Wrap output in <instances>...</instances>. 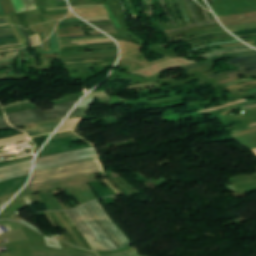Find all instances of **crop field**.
I'll use <instances>...</instances> for the list:
<instances>
[{"label":"crop field","mask_w":256,"mask_h":256,"mask_svg":"<svg viewBox=\"0 0 256 256\" xmlns=\"http://www.w3.org/2000/svg\"><path fill=\"white\" fill-rule=\"evenodd\" d=\"M70 220L79 228L92 250H109L95 229L85 219L79 208L65 212Z\"/></svg>","instance_id":"obj_4"},{"label":"crop field","mask_w":256,"mask_h":256,"mask_svg":"<svg viewBox=\"0 0 256 256\" xmlns=\"http://www.w3.org/2000/svg\"><path fill=\"white\" fill-rule=\"evenodd\" d=\"M25 138H27L26 134L22 133V134H19L17 136H14V137L1 139L0 140V145L5 144V143H9V142H13V141H17V140H21V139H25Z\"/></svg>","instance_id":"obj_17"},{"label":"crop field","mask_w":256,"mask_h":256,"mask_svg":"<svg viewBox=\"0 0 256 256\" xmlns=\"http://www.w3.org/2000/svg\"><path fill=\"white\" fill-rule=\"evenodd\" d=\"M207 2L209 3V5L214 4L212 0H207Z\"/></svg>","instance_id":"obj_51"},{"label":"crop field","mask_w":256,"mask_h":256,"mask_svg":"<svg viewBox=\"0 0 256 256\" xmlns=\"http://www.w3.org/2000/svg\"><path fill=\"white\" fill-rule=\"evenodd\" d=\"M97 35H104V34H97ZM90 36H96V35H89V36H87V35H82V36H74V37H90ZM70 38H72V37H70ZM60 39H68V37H62V38H60Z\"/></svg>","instance_id":"obj_37"},{"label":"crop field","mask_w":256,"mask_h":256,"mask_svg":"<svg viewBox=\"0 0 256 256\" xmlns=\"http://www.w3.org/2000/svg\"><path fill=\"white\" fill-rule=\"evenodd\" d=\"M7 21H3V22H0V23H6Z\"/></svg>","instance_id":"obj_64"},{"label":"crop field","mask_w":256,"mask_h":256,"mask_svg":"<svg viewBox=\"0 0 256 256\" xmlns=\"http://www.w3.org/2000/svg\"><path fill=\"white\" fill-rule=\"evenodd\" d=\"M253 125H256V124H253ZM253 125H251V126H253ZM253 127H255V126H253ZM249 128H252V127L246 126V127L241 128V129L231 130V133H236V132L243 131V130H246V129H249Z\"/></svg>","instance_id":"obj_32"},{"label":"crop field","mask_w":256,"mask_h":256,"mask_svg":"<svg viewBox=\"0 0 256 256\" xmlns=\"http://www.w3.org/2000/svg\"><path fill=\"white\" fill-rule=\"evenodd\" d=\"M107 39H110V38H105V39H92V40H107ZM79 41H88V40H78V41H73V42H79Z\"/></svg>","instance_id":"obj_46"},{"label":"crop field","mask_w":256,"mask_h":256,"mask_svg":"<svg viewBox=\"0 0 256 256\" xmlns=\"http://www.w3.org/2000/svg\"><path fill=\"white\" fill-rule=\"evenodd\" d=\"M253 46H255V47H256V45H253Z\"/></svg>","instance_id":"obj_69"},{"label":"crop field","mask_w":256,"mask_h":256,"mask_svg":"<svg viewBox=\"0 0 256 256\" xmlns=\"http://www.w3.org/2000/svg\"><path fill=\"white\" fill-rule=\"evenodd\" d=\"M12 64V63H11ZM8 65H10V64H7V65H1L0 67H3V66H8Z\"/></svg>","instance_id":"obj_58"},{"label":"crop field","mask_w":256,"mask_h":256,"mask_svg":"<svg viewBox=\"0 0 256 256\" xmlns=\"http://www.w3.org/2000/svg\"><path fill=\"white\" fill-rule=\"evenodd\" d=\"M8 24V23H7ZM7 24H0V26L7 25Z\"/></svg>","instance_id":"obj_62"},{"label":"crop field","mask_w":256,"mask_h":256,"mask_svg":"<svg viewBox=\"0 0 256 256\" xmlns=\"http://www.w3.org/2000/svg\"><path fill=\"white\" fill-rule=\"evenodd\" d=\"M33 37H34V43H35V45H38L39 43H41V41H40V38H39V35L37 34V35H33Z\"/></svg>","instance_id":"obj_35"},{"label":"crop field","mask_w":256,"mask_h":256,"mask_svg":"<svg viewBox=\"0 0 256 256\" xmlns=\"http://www.w3.org/2000/svg\"><path fill=\"white\" fill-rule=\"evenodd\" d=\"M68 154H72V155L58 157V156L68 155ZM93 154H96V152H95L94 148L92 147V148H86V149H79V150H75V151H71V152L54 154V155H50V156L43 157V158H38L35 161V169L40 168V167H45V166H50V165H55V164H60V163H64V162L87 158Z\"/></svg>","instance_id":"obj_5"},{"label":"crop field","mask_w":256,"mask_h":256,"mask_svg":"<svg viewBox=\"0 0 256 256\" xmlns=\"http://www.w3.org/2000/svg\"><path fill=\"white\" fill-rule=\"evenodd\" d=\"M254 73H256V71L237 72V73L229 74V76L232 77V76H236V75H239V74H254Z\"/></svg>","instance_id":"obj_30"},{"label":"crop field","mask_w":256,"mask_h":256,"mask_svg":"<svg viewBox=\"0 0 256 256\" xmlns=\"http://www.w3.org/2000/svg\"><path fill=\"white\" fill-rule=\"evenodd\" d=\"M51 42V51H39L42 53H48V54H59V40L56 34V30L53 33L51 37H49Z\"/></svg>","instance_id":"obj_12"},{"label":"crop field","mask_w":256,"mask_h":256,"mask_svg":"<svg viewBox=\"0 0 256 256\" xmlns=\"http://www.w3.org/2000/svg\"><path fill=\"white\" fill-rule=\"evenodd\" d=\"M12 60H14V59H12ZM6 61H9V60H6ZM0 62H5V61H0Z\"/></svg>","instance_id":"obj_65"},{"label":"crop field","mask_w":256,"mask_h":256,"mask_svg":"<svg viewBox=\"0 0 256 256\" xmlns=\"http://www.w3.org/2000/svg\"><path fill=\"white\" fill-rule=\"evenodd\" d=\"M2 55H4V54H2Z\"/></svg>","instance_id":"obj_70"},{"label":"crop field","mask_w":256,"mask_h":256,"mask_svg":"<svg viewBox=\"0 0 256 256\" xmlns=\"http://www.w3.org/2000/svg\"><path fill=\"white\" fill-rule=\"evenodd\" d=\"M7 29H10V28H6V29H0V30H7Z\"/></svg>","instance_id":"obj_63"},{"label":"crop field","mask_w":256,"mask_h":256,"mask_svg":"<svg viewBox=\"0 0 256 256\" xmlns=\"http://www.w3.org/2000/svg\"><path fill=\"white\" fill-rule=\"evenodd\" d=\"M85 22H78V23H65V24H58V26L61 25H69V24H84Z\"/></svg>","instance_id":"obj_43"},{"label":"crop field","mask_w":256,"mask_h":256,"mask_svg":"<svg viewBox=\"0 0 256 256\" xmlns=\"http://www.w3.org/2000/svg\"><path fill=\"white\" fill-rule=\"evenodd\" d=\"M251 55H256V51L251 50V51H245V52H239V53H233V54H224V55L213 57L211 59H207L204 62L193 63L189 66H185V68L193 69V68L201 67V66L216 62V61L224 59V58H229L231 56L242 57V56H251Z\"/></svg>","instance_id":"obj_6"},{"label":"crop field","mask_w":256,"mask_h":256,"mask_svg":"<svg viewBox=\"0 0 256 256\" xmlns=\"http://www.w3.org/2000/svg\"><path fill=\"white\" fill-rule=\"evenodd\" d=\"M59 123L60 122L50 123V124H46V125H42L34 128L24 129V131L29 135V137H32V136L53 131Z\"/></svg>","instance_id":"obj_8"},{"label":"crop field","mask_w":256,"mask_h":256,"mask_svg":"<svg viewBox=\"0 0 256 256\" xmlns=\"http://www.w3.org/2000/svg\"><path fill=\"white\" fill-rule=\"evenodd\" d=\"M20 28H21V30H22V32H23V34H24V36H26V38H27V40H28V45H31V43H30V39H29V37H28V35H27L26 31H25L22 27H20Z\"/></svg>","instance_id":"obj_38"},{"label":"crop field","mask_w":256,"mask_h":256,"mask_svg":"<svg viewBox=\"0 0 256 256\" xmlns=\"http://www.w3.org/2000/svg\"><path fill=\"white\" fill-rule=\"evenodd\" d=\"M8 127H11V126L7 123L5 116L0 117V129H4Z\"/></svg>","instance_id":"obj_23"},{"label":"crop field","mask_w":256,"mask_h":256,"mask_svg":"<svg viewBox=\"0 0 256 256\" xmlns=\"http://www.w3.org/2000/svg\"><path fill=\"white\" fill-rule=\"evenodd\" d=\"M252 96H256V93L251 94Z\"/></svg>","instance_id":"obj_60"},{"label":"crop field","mask_w":256,"mask_h":256,"mask_svg":"<svg viewBox=\"0 0 256 256\" xmlns=\"http://www.w3.org/2000/svg\"><path fill=\"white\" fill-rule=\"evenodd\" d=\"M28 173H30V171L24 172V173H20V174H16V175H12V176H8V177H4V178L0 179V182L4 181V180H9V179L17 178V177H20V176H24V175H26Z\"/></svg>","instance_id":"obj_24"},{"label":"crop field","mask_w":256,"mask_h":256,"mask_svg":"<svg viewBox=\"0 0 256 256\" xmlns=\"http://www.w3.org/2000/svg\"><path fill=\"white\" fill-rule=\"evenodd\" d=\"M94 61H102V60H94ZM79 62H92V61H79ZM79 62H68L66 64H70V63H79Z\"/></svg>","instance_id":"obj_47"},{"label":"crop field","mask_w":256,"mask_h":256,"mask_svg":"<svg viewBox=\"0 0 256 256\" xmlns=\"http://www.w3.org/2000/svg\"><path fill=\"white\" fill-rule=\"evenodd\" d=\"M44 256H47V255H44ZM89 256H98V255H89Z\"/></svg>","instance_id":"obj_59"},{"label":"crop field","mask_w":256,"mask_h":256,"mask_svg":"<svg viewBox=\"0 0 256 256\" xmlns=\"http://www.w3.org/2000/svg\"><path fill=\"white\" fill-rule=\"evenodd\" d=\"M255 32H256V30L255 31H246V32H236L234 34L235 35H240V34L255 33Z\"/></svg>","instance_id":"obj_41"},{"label":"crop field","mask_w":256,"mask_h":256,"mask_svg":"<svg viewBox=\"0 0 256 256\" xmlns=\"http://www.w3.org/2000/svg\"><path fill=\"white\" fill-rule=\"evenodd\" d=\"M21 222H23L25 225H27V226L33 228L34 230L38 231L39 233H41L40 229L36 228L35 226H33L32 224L28 223L27 221L23 220Z\"/></svg>","instance_id":"obj_31"},{"label":"crop field","mask_w":256,"mask_h":256,"mask_svg":"<svg viewBox=\"0 0 256 256\" xmlns=\"http://www.w3.org/2000/svg\"><path fill=\"white\" fill-rule=\"evenodd\" d=\"M2 20H6V19H2ZM2 20H0V21H2Z\"/></svg>","instance_id":"obj_68"},{"label":"crop field","mask_w":256,"mask_h":256,"mask_svg":"<svg viewBox=\"0 0 256 256\" xmlns=\"http://www.w3.org/2000/svg\"><path fill=\"white\" fill-rule=\"evenodd\" d=\"M8 31H11V30H8ZM8 31H2V32H8Z\"/></svg>","instance_id":"obj_66"},{"label":"crop field","mask_w":256,"mask_h":256,"mask_svg":"<svg viewBox=\"0 0 256 256\" xmlns=\"http://www.w3.org/2000/svg\"><path fill=\"white\" fill-rule=\"evenodd\" d=\"M97 206V208L100 210V212L102 213V215L105 217V219L107 220L108 224L118 233V235L125 241H124L115 233V231L107 224V222L105 221V219L101 216L100 212L98 211V209L95 207V205ZM95 210L96 214L98 215V217L102 220V222L106 225V227L111 231V233L123 244V246L115 239V237L109 232V230L103 225V223L100 221V219L96 216V214L93 212V210L90 208V206ZM82 207H80V209L82 210V212L84 213L86 219L91 223V225L96 229L97 233L99 234V236L106 242V244L108 245V247L110 248V250H116V249H120L123 247H126L128 245H131V243L126 239V237L121 233V231L113 224V222L107 217V215L104 213V211L102 210V208L100 207V205L98 204L97 201L95 202H90ZM98 223V225L104 230V232L108 235V237L111 239V241L114 243V245L117 247H115L112 242L109 240V238L106 236V234L101 230V228L94 222V220Z\"/></svg>","instance_id":"obj_2"},{"label":"crop field","mask_w":256,"mask_h":256,"mask_svg":"<svg viewBox=\"0 0 256 256\" xmlns=\"http://www.w3.org/2000/svg\"><path fill=\"white\" fill-rule=\"evenodd\" d=\"M99 161H90L81 164L71 165L59 169L33 174L32 180L26 188L36 187L44 184L54 183L63 179L74 178L96 172H101ZM25 188V189H26Z\"/></svg>","instance_id":"obj_1"},{"label":"crop field","mask_w":256,"mask_h":256,"mask_svg":"<svg viewBox=\"0 0 256 256\" xmlns=\"http://www.w3.org/2000/svg\"><path fill=\"white\" fill-rule=\"evenodd\" d=\"M184 2H185V5H186V8H187V11H188V13H189L190 19H191L192 22L194 23V20H193V18H192V14H191V12H190V10H189V8H188V5H187L186 0H184Z\"/></svg>","instance_id":"obj_39"},{"label":"crop field","mask_w":256,"mask_h":256,"mask_svg":"<svg viewBox=\"0 0 256 256\" xmlns=\"http://www.w3.org/2000/svg\"><path fill=\"white\" fill-rule=\"evenodd\" d=\"M31 169V161L10 165V166H4L0 167V178L3 176L27 171Z\"/></svg>","instance_id":"obj_7"},{"label":"crop field","mask_w":256,"mask_h":256,"mask_svg":"<svg viewBox=\"0 0 256 256\" xmlns=\"http://www.w3.org/2000/svg\"><path fill=\"white\" fill-rule=\"evenodd\" d=\"M108 64H114V63H105L102 65H108ZM86 66H100V65H85V66H73V67H86ZM66 68H71V67H66Z\"/></svg>","instance_id":"obj_42"},{"label":"crop field","mask_w":256,"mask_h":256,"mask_svg":"<svg viewBox=\"0 0 256 256\" xmlns=\"http://www.w3.org/2000/svg\"><path fill=\"white\" fill-rule=\"evenodd\" d=\"M109 57H117V55L108 56V57H97V58H109ZM97 58H90V59H97ZM90 59H75V60H66V61H79V60H90ZM66 61H63V62H66Z\"/></svg>","instance_id":"obj_33"},{"label":"crop field","mask_w":256,"mask_h":256,"mask_svg":"<svg viewBox=\"0 0 256 256\" xmlns=\"http://www.w3.org/2000/svg\"><path fill=\"white\" fill-rule=\"evenodd\" d=\"M99 256H140L139 252L136 248L131 249L129 251L119 253V254H114V255H99Z\"/></svg>","instance_id":"obj_18"},{"label":"crop field","mask_w":256,"mask_h":256,"mask_svg":"<svg viewBox=\"0 0 256 256\" xmlns=\"http://www.w3.org/2000/svg\"><path fill=\"white\" fill-rule=\"evenodd\" d=\"M253 103H256V101H246V102H243L242 104L249 105V104H253Z\"/></svg>","instance_id":"obj_44"},{"label":"crop field","mask_w":256,"mask_h":256,"mask_svg":"<svg viewBox=\"0 0 256 256\" xmlns=\"http://www.w3.org/2000/svg\"><path fill=\"white\" fill-rule=\"evenodd\" d=\"M113 40H107V41H90V42H81L79 45H84V44H91V43H99V42H109Z\"/></svg>","instance_id":"obj_34"},{"label":"crop field","mask_w":256,"mask_h":256,"mask_svg":"<svg viewBox=\"0 0 256 256\" xmlns=\"http://www.w3.org/2000/svg\"><path fill=\"white\" fill-rule=\"evenodd\" d=\"M81 118H82V117H81ZM81 118H77V119H72V120L66 121V122L59 128L58 131H62V130H65V129L74 128L75 125L77 124V122H78Z\"/></svg>","instance_id":"obj_16"},{"label":"crop field","mask_w":256,"mask_h":256,"mask_svg":"<svg viewBox=\"0 0 256 256\" xmlns=\"http://www.w3.org/2000/svg\"><path fill=\"white\" fill-rule=\"evenodd\" d=\"M254 79L253 78H249V79H243V80H237V81H234V82H231V83H228V84H224L226 87L230 86V85H233V84H236V83H240V82H243V81H253Z\"/></svg>","instance_id":"obj_29"},{"label":"crop field","mask_w":256,"mask_h":256,"mask_svg":"<svg viewBox=\"0 0 256 256\" xmlns=\"http://www.w3.org/2000/svg\"><path fill=\"white\" fill-rule=\"evenodd\" d=\"M228 36H231V35L230 34H224V35L209 36V37H204V38H201V39L193 40V41H190V42H186V44L190 45V44H193V43H196L198 41H201V40H204V39H208V38L228 37Z\"/></svg>","instance_id":"obj_21"},{"label":"crop field","mask_w":256,"mask_h":256,"mask_svg":"<svg viewBox=\"0 0 256 256\" xmlns=\"http://www.w3.org/2000/svg\"><path fill=\"white\" fill-rule=\"evenodd\" d=\"M15 27H16V29H17V31H18L20 37H21V41H22L23 47L26 46V45H27V40H26V38H24V36H23L22 32L20 31V29L18 28V26H15Z\"/></svg>","instance_id":"obj_27"},{"label":"crop field","mask_w":256,"mask_h":256,"mask_svg":"<svg viewBox=\"0 0 256 256\" xmlns=\"http://www.w3.org/2000/svg\"><path fill=\"white\" fill-rule=\"evenodd\" d=\"M252 151L255 153V155H256V149H252Z\"/></svg>","instance_id":"obj_56"},{"label":"crop field","mask_w":256,"mask_h":256,"mask_svg":"<svg viewBox=\"0 0 256 256\" xmlns=\"http://www.w3.org/2000/svg\"><path fill=\"white\" fill-rule=\"evenodd\" d=\"M108 21H112V20H107V21H96V22H90V23H100V22H108Z\"/></svg>","instance_id":"obj_49"},{"label":"crop field","mask_w":256,"mask_h":256,"mask_svg":"<svg viewBox=\"0 0 256 256\" xmlns=\"http://www.w3.org/2000/svg\"><path fill=\"white\" fill-rule=\"evenodd\" d=\"M252 48L248 47V46H241V47H230V48H224V49H220L211 53H205V54H201L200 56H204V57H212V56H216L225 52H235V51H243V50H251Z\"/></svg>","instance_id":"obj_10"},{"label":"crop field","mask_w":256,"mask_h":256,"mask_svg":"<svg viewBox=\"0 0 256 256\" xmlns=\"http://www.w3.org/2000/svg\"><path fill=\"white\" fill-rule=\"evenodd\" d=\"M12 35H14V34H10V35H4V36H0V37H6V36H12Z\"/></svg>","instance_id":"obj_54"},{"label":"crop field","mask_w":256,"mask_h":256,"mask_svg":"<svg viewBox=\"0 0 256 256\" xmlns=\"http://www.w3.org/2000/svg\"><path fill=\"white\" fill-rule=\"evenodd\" d=\"M239 106H242V104H241V103H239V104L234 105V106H231V107L223 108V110H224V112H225V111H228V110H231V109L237 108V107H239Z\"/></svg>","instance_id":"obj_36"},{"label":"crop field","mask_w":256,"mask_h":256,"mask_svg":"<svg viewBox=\"0 0 256 256\" xmlns=\"http://www.w3.org/2000/svg\"><path fill=\"white\" fill-rule=\"evenodd\" d=\"M250 62H256V56L252 57H244V58H234L232 60H229V64H240V63H250Z\"/></svg>","instance_id":"obj_14"},{"label":"crop field","mask_w":256,"mask_h":256,"mask_svg":"<svg viewBox=\"0 0 256 256\" xmlns=\"http://www.w3.org/2000/svg\"><path fill=\"white\" fill-rule=\"evenodd\" d=\"M26 10L37 9L34 0H23Z\"/></svg>","instance_id":"obj_20"},{"label":"crop field","mask_w":256,"mask_h":256,"mask_svg":"<svg viewBox=\"0 0 256 256\" xmlns=\"http://www.w3.org/2000/svg\"><path fill=\"white\" fill-rule=\"evenodd\" d=\"M161 3H162V6H163V8H164V10H165V12H166V14H167V16L170 18V20L172 21L173 25H175V23H174V21H173L171 15H170V13L168 12V10H167V8H166V5H165L164 0H161Z\"/></svg>","instance_id":"obj_28"},{"label":"crop field","mask_w":256,"mask_h":256,"mask_svg":"<svg viewBox=\"0 0 256 256\" xmlns=\"http://www.w3.org/2000/svg\"><path fill=\"white\" fill-rule=\"evenodd\" d=\"M89 106L87 107H79V108H75V110L72 112L71 115H74V114H82V113H86L87 110H88Z\"/></svg>","instance_id":"obj_22"},{"label":"crop field","mask_w":256,"mask_h":256,"mask_svg":"<svg viewBox=\"0 0 256 256\" xmlns=\"http://www.w3.org/2000/svg\"><path fill=\"white\" fill-rule=\"evenodd\" d=\"M193 5H194V9H195V12H196V14L198 16L199 21L200 22L201 21H205L206 18H205V15L203 13L202 8L198 4H193Z\"/></svg>","instance_id":"obj_19"},{"label":"crop field","mask_w":256,"mask_h":256,"mask_svg":"<svg viewBox=\"0 0 256 256\" xmlns=\"http://www.w3.org/2000/svg\"><path fill=\"white\" fill-rule=\"evenodd\" d=\"M16 38H13V39H9V40H0V42H3V41H10V40H15Z\"/></svg>","instance_id":"obj_52"},{"label":"crop field","mask_w":256,"mask_h":256,"mask_svg":"<svg viewBox=\"0 0 256 256\" xmlns=\"http://www.w3.org/2000/svg\"><path fill=\"white\" fill-rule=\"evenodd\" d=\"M16 43H18V42H16ZM11 44H14V43H11ZM2 45H7V44H2ZM1 46V45H0Z\"/></svg>","instance_id":"obj_61"},{"label":"crop field","mask_w":256,"mask_h":256,"mask_svg":"<svg viewBox=\"0 0 256 256\" xmlns=\"http://www.w3.org/2000/svg\"><path fill=\"white\" fill-rule=\"evenodd\" d=\"M106 36H97V37H91V38H73V39H70V40H78V39H92V38H104Z\"/></svg>","instance_id":"obj_40"},{"label":"crop field","mask_w":256,"mask_h":256,"mask_svg":"<svg viewBox=\"0 0 256 256\" xmlns=\"http://www.w3.org/2000/svg\"><path fill=\"white\" fill-rule=\"evenodd\" d=\"M13 37H15V36H12V37H8V38H13ZM0 39H7V38H0Z\"/></svg>","instance_id":"obj_57"},{"label":"crop field","mask_w":256,"mask_h":256,"mask_svg":"<svg viewBox=\"0 0 256 256\" xmlns=\"http://www.w3.org/2000/svg\"><path fill=\"white\" fill-rule=\"evenodd\" d=\"M218 26H220L219 23L213 24V25L199 26V27L192 28V29L185 30V31H181V32L167 34V36L169 38L178 37V36H182V35H185V34H188V33H191V32H195V31H198V30H202V29H206V28H212V27H218Z\"/></svg>","instance_id":"obj_11"},{"label":"crop field","mask_w":256,"mask_h":256,"mask_svg":"<svg viewBox=\"0 0 256 256\" xmlns=\"http://www.w3.org/2000/svg\"><path fill=\"white\" fill-rule=\"evenodd\" d=\"M0 14H4L1 4H0Z\"/></svg>","instance_id":"obj_50"},{"label":"crop field","mask_w":256,"mask_h":256,"mask_svg":"<svg viewBox=\"0 0 256 256\" xmlns=\"http://www.w3.org/2000/svg\"><path fill=\"white\" fill-rule=\"evenodd\" d=\"M58 2H60V1H64V0H57Z\"/></svg>","instance_id":"obj_67"},{"label":"crop field","mask_w":256,"mask_h":256,"mask_svg":"<svg viewBox=\"0 0 256 256\" xmlns=\"http://www.w3.org/2000/svg\"><path fill=\"white\" fill-rule=\"evenodd\" d=\"M95 159H97V156L93 157V158L84 159V160H79V161L64 163V164H60V165H55V166L36 169L35 172H39V171H43V170H47V169H51V168H56V167H61V166H65V165H70V164H74V163L84 162V161H88V160H95Z\"/></svg>","instance_id":"obj_15"},{"label":"crop field","mask_w":256,"mask_h":256,"mask_svg":"<svg viewBox=\"0 0 256 256\" xmlns=\"http://www.w3.org/2000/svg\"><path fill=\"white\" fill-rule=\"evenodd\" d=\"M113 26H114L113 24H110V25H102V26H97V27L103 31H107V30L115 29Z\"/></svg>","instance_id":"obj_26"},{"label":"crop field","mask_w":256,"mask_h":256,"mask_svg":"<svg viewBox=\"0 0 256 256\" xmlns=\"http://www.w3.org/2000/svg\"><path fill=\"white\" fill-rule=\"evenodd\" d=\"M187 1H188V4H189V7H190V9H191V12H192V14H193V16H194V18H195L196 23H195V24H191V25L186 26V27L179 28V29H177V30H171V31H165V32H167V33L176 32V31H181V30H185V29H188V28H192V27H195V26H198V25L212 24V23H216V22H217L216 19L211 20L210 17H209V15H208L207 10H205V9L203 8L204 13H205V15H206L208 21L199 23V21H198V19H197V17H196V14H195V12H194V9H193V7H192L191 1H190V0H187Z\"/></svg>","instance_id":"obj_9"},{"label":"crop field","mask_w":256,"mask_h":256,"mask_svg":"<svg viewBox=\"0 0 256 256\" xmlns=\"http://www.w3.org/2000/svg\"><path fill=\"white\" fill-rule=\"evenodd\" d=\"M250 93L256 92V89L249 90Z\"/></svg>","instance_id":"obj_53"},{"label":"crop field","mask_w":256,"mask_h":256,"mask_svg":"<svg viewBox=\"0 0 256 256\" xmlns=\"http://www.w3.org/2000/svg\"><path fill=\"white\" fill-rule=\"evenodd\" d=\"M77 101L65 102L54 106V110L43 112L40 108L7 115L11 125L18 127L29 123L46 121L65 116Z\"/></svg>","instance_id":"obj_3"},{"label":"crop field","mask_w":256,"mask_h":256,"mask_svg":"<svg viewBox=\"0 0 256 256\" xmlns=\"http://www.w3.org/2000/svg\"><path fill=\"white\" fill-rule=\"evenodd\" d=\"M237 67H241L240 69L236 70V71H244V70H253L256 69V63H251V64H243V65H236ZM236 71H227V72H221V73H217V74H213V75H209L210 77L214 78L216 76H220V75H224V74H228V73H232V72H236Z\"/></svg>","instance_id":"obj_13"},{"label":"crop field","mask_w":256,"mask_h":256,"mask_svg":"<svg viewBox=\"0 0 256 256\" xmlns=\"http://www.w3.org/2000/svg\"><path fill=\"white\" fill-rule=\"evenodd\" d=\"M15 51H18V50H15ZM8 52H14V51H8ZM8 52H1V53H8ZM1 53H0V54H1Z\"/></svg>","instance_id":"obj_55"},{"label":"crop field","mask_w":256,"mask_h":256,"mask_svg":"<svg viewBox=\"0 0 256 256\" xmlns=\"http://www.w3.org/2000/svg\"><path fill=\"white\" fill-rule=\"evenodd\" d=\"M114 48H117V47H114ZM114 48H101V49H114ZM87 50H99V49H87ZM87 50H80V51H87ZM80 51H77V52H80Z\"/></svg>","instance_id":"obj_45"},{"label":"crop field","mask_w":256,"mask_h":256,"mask_svg":"<svg viewBox=\"0 0 256 256\" xmlns=\"http://www.w3.org/2000/svg\"><path fill=\"white\" fill-rule=\"evenodd\" d=\"M107 44H115V43H101V44H93V45H90V46H94V45H107Z\"/></svg>","instance_id":"obj_48"},{"label":"crop field","mask_w":256,"mask_h":256,"mask_svg":"<svg viewBox=\"0 0 256 256\" xmlns=\"http://www.w3.org/2000/svg\"><path fill=\"white\" fill-rule=\"evenodd\" d=\"M87 21H95V20H106L110 19V16H103V17H89V18H84Z\"/></svg>","instance_id":"obj_25"}]
</instances>
